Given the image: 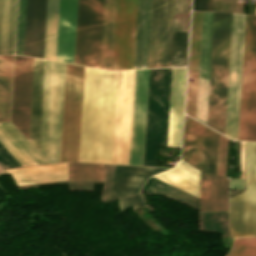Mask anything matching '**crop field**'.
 <instances>
[{"label": "crop field", "mask_w": 256, "mask_h": 256, "mask_svg": "<svg viewBox=\"0 0 256 256\" xmlns=\"http://www.w3.org/2000/svg\"><path fill=\"white\" fill-rule=\"evenodd\" d=\"M164 168L116 165L109 200L137 193L148 176Z\"/></svg>", "instance_id": "5142ce71"}, {"label": "crop field", "mask_w": 256, "mask_h": 256, "mask_svg": "<svg viewBox=\"0 0 256 256\" xmlns=\"http://www.w3.org/2000/svg\"><path fill=\"white\" fill-rule=\"evenodd\" d=\"M203 133V125L184 117L182 159L199 170L202 164Z\"/></svg>", "instance_id": "a9b5d70f"}, {"label": "crop field", "mask_w": 256, "mask_h": 256, "mask_svg": "<svg viewBox=\"0 0 256 256\" xmlns=\"http://www.w3.org/2000/svg\"><path fill=\"white\" fill-rule=\"evenodd\" d=\"M240 154H241V178L244 179V142H240Z\"/></svg>", "instance_id": "03da06ac"}, {"label": "crop field", "mask_w": 256, "mask_h": 256, "mask_svg": "<svg viewBox=\"0 0 256 256\" xmlns=\"http://www.w3.org/2000/svg\"><path fill=\"white\" fill-rule=\"evenodd\" d=\"M65 64L46 61L40 153L59 162Z\"/></svg>", "instance_id": "34b2d1b8"}, {"label": "crop field", "mask_w": 256, "mask_h": 256, "mask_svg": "<svg viewBox=\"0 0 256 256\" xmlns=\"http://www.w3.org/2000/svg\"><path fill=\"white\" fill-rule=\"evenodd\" d=\"M234 238L256 236V143L246 142V191L230 198Z\"/></svg>", "instance_id": "dd49c442"}, {"label": "crop field", "mask_w": 256, "mask_h": 256, "mask_svg": "<svg viewBox=\"0 0 256 256\" xmlns=\"http://www.w3.org/2000/svg\"><path fill=\"white\" fill-rule=\"evenodd\" d=\"M190 0H175L173 31H188ZM188 32H173L171 66H186Z\"/></svg>", "instance_id": "bc2a9ffb"}, {"label": "crop field", "mask_w": 256, "mask_h": 256, "mask_svg": "<svg viewBox=\"0 0 256 256\" xmlns=\"http://www.w3.org/2000/svg\"><path fill=\"white\" fill-rule=\"evenodd\" d=\"M132 71H117L111 163L128 164L132 93Z\"/></svg>", "instance_id": "e52e79f7"}, {"label": "crop field", "mask_w": 256, "mask_h": 256, "mask_svg": "<svg viewBox=\"0 0 256 256\" xmlns=\"http://www.w3.org/2000/svg\"><path fill=\"white\" fill-rule=\"evenodd\" d=\"M173 0H152L148 68L170 66Z\"/></svg>", "instance_id": "5a996713"}, {"label": "crop field", "mask_w": 256, "mask_h": 256, "mask_svg": "<svg viewBox=\"0 0 256 256\" xmlns=\"http://www.w3.org/2000/svg\"><path fill=\"white\" fill-rule=\"evenodd\" d=\"M84 67L66 64L60 162H77Z\"/></svg>", "instance_id": "412701ff"}, {"label": "crop field", "mask_w": 256, "mask_h": 256, "mask_svg": "<svg viewBox=\"0 0 256 256\" xmlns=\"http://www.w3.org/2000/svg\"><path fill=\"white\" fill-rule=\"evenodd\" d=\"M25 15H26V0H19L18 1L15 54H20V55H23Z\"/></svg>", "instance_id": "028f5c9d"}, {"label": "crop field", "mask_w": 256, "mask_h": 256, "mask_svg": "<svg viewBox=\"0 0 256 256\" xmlns=\"http://www.w3.org/2000/svg\"><path fill=\"white\" fill-rule=\"evenodd\" d=\"M149 70H135L129 164L143 165Z\"/></svg>", "instance_id": "d1516ede"}, {"label": "crop field", "mask_w": 256, "mask_h": 256, "mask_svg": "<svg viewBox=\"0 0 256 256\" xmlns=\"http://www.w3.org/2000/svg\"><path fill=\"white\" fill-rule=\"evenodd\" d=\"M4 172L1 168H0V173Z\"/></svg>", "instance_id": "b54c1fbb"}, {"label": "crop field", "mask_w": 256, "mask_h": 256, "mask_svg": "<svg viewBox=\"0 0 256 256\" xmlns=\"http://www.w3.org/2000/svg\"><path fill=\"white\" fill-rule=\"evenodd\" d=\"M103 0H78L74 63L99 65Z\"/></svg>", "instance_id": "f4fd0767"}, {"label": "crop field", "mask_w": 256, "mask_h": 256, "mask_svg": "<svg viewBox=\"0 0 256 256\" xmlns=\"http://www.w3.org/2000/svg\"><path fill=\"white\" fill-rule=\"evenodd\" d=\"M246 140L256 141V16L253 24L249 104Z\"/></svg>", "instance_id": "d3111659"}, {"label": "crop field", "mask_w": 256, "mask_h": 256, "mask_svg": "<svg viewBox=\"0 0 256 256\" xmlns=\"http://www.w3.org/2000/svg\"><path fill=\"white\" fill-rule=\"evenodd\" d=\"M17 0H0V54H13Z\"/></svg>", "instance_id": "ae1a2a85"}, {"label": "crop field", "mask_w": 256, "mask_h": 256, "mask_svg": "<svg viewBox=\"0 0 256 256\" xmlns=\"http://www.w3.org/2000/svg\"><path fill=\"white\" fill-rule=\"evenodd\" d=\"M151 0H138L134 68H147Z\"/></svg>", "instance_id": "00972430"}, {"label": "crop field", "mask_w": 256, "mask_h": 256, "mask_svg": "<svg viewBox=\"0 0 256 256\" xmlns=\"http://www.w3.org/2000/svg\"><path fill=\"white\" fill-rule=\"evenodd\" d=\"M253 16L246 15L238 140H245Z\"/></svg>", "instance_id": "730fd06b"}, {"label": "crop field", "mask_w": 256, "mask_h": 256, "mask_svg": "<svg viewBox=\"0 0 256 256\" xmlns=\"http://www.w3.org/2000/svg\"><path fill=\"white\" fill-rule=\"evenodd\" d=\"M230 189H244V180L230 179Z\"/></svg>", "instance_id": "c21b1889"}, {"label": "crop field", "mask_w": 256, "mask_h": 256, "mask_svg": "<svg viewBox=\"0 0 256 256\" xmlns=\"http://www.w3.org/2000/svg\"><path fill=\"white\" fill-rule=\"evenodd\" d=\"M9 135L28 153V155L37 163L43 164L48 163L25 139L24 137L15 129V127L9 123L0 124Z\"/></svg>", "instance_id": "5866460e"}, {"label": "crop field", "mask_w": 256, "mask_h": 256, "mask_svg": "<svg viewBox=\"0 0 256 256\" xmlns=\"http://www.w3.org/2000/svg\"><path fill=\"white\" fill-rule=\"evenodd\" d=\"M208 0H193L192 10L207 11Z\"/></svg>", "instance_id": "c035e120"}, {"label": "crop field", "mask_w": 256, "mask_h": 256, "mask_svg": "<svg viewBox=\"0 0 256 256\" xmlns=\"http://www.w3.org/2000/svg\"><path fill=\"white\" fill-rule=\"evenodd\" d=\"M16 185L67 180V163L9 169Z\"/></svg>", "instance_id": "dafd665d"}, {"label": "crop field", "mask_w": 256, "mask_h": 256, "mask_svg": "<svg viewBox=\"0 0 256 256\" xmlns=\"http://www.w3.org/2000/svg\"><path fill=\"white\" fill-rule=\"evenodd\" d=\"M115 78L85 67L78 162L110 163Z\"/></svg>", "instance_id": "8a807250"}, {"label": "crop field", "mask_w": 256, "mask_h": 256, "mask_svg": "<svg viewBox=\"0 0 256 256\" xmlns=\"http://www.w3.org/2000/svg\"><path fill=\"white\" fill-rule=\"evenodd\" d=\"M218 133L205 127L202 171L216 175Z\"/></svg>", "instance_id": "1d83c4d3"}, {"label": "crop field", "mask_w": 256, "mask_h": 256, "mask_svg": "<svg viewBox=\"0 0 256 256\" xmlns=\"http://www.w3.org/2000/svg\"><path fill=\"white\" fill-rule=\"evenodd\" d=\"M77 0H59L56 60L73 63Z\"/></svg>", "instance_id": "22f410ed"}, {"label": "crop field", "mask_w": 256, "mask_h": 256, "mask_svg": "<svg viewBox=\"0 0 256 256\" xmlns=\"http://www.w3.org/2000/svg\"><path fill=\"white\" fill-rule=\"evenodd\" d=\"M202 12H192L186 113L195 118Z\"/></svg>", "instance_id": "4a817a6b"}, {"label": "crop field", "mask_w": 256, "mask_h": 256, "mask_svg": "<svg viewBox=\"0 0 256 256\" xmlns=\"http://www.w3.org/2000/svg\"><path fill=\"white\" fill-rule=\"evenodd\" d=\"M33 59L15 56L11 122L28 139Z\"/></svg>", "instance_id": "28ad6ade"}, {"label": "crop field", "mask_w": 256, "mask_h": 256, "mask_svg": "<svg viewBox=\"0 0 256 256\" xmlns=\"http://www.w3.org/2000/svg\"><path fill=\"white\" fill-rule=\"evenodd\" d=\"M0 143L21 166L36 164L27 153L0 126Z\"/></svg>", "instance_id": "d32e631a"}, {"label": "crop field", "mask_w": 256, "mask_h": 256, "mask_svg": "<svg viewBox=\"0 0 256 256\" xmlns=\"http://www.w3.org/2000/svg\"><path fill=\"white\" fill-rule=\"evenodd\" d=\"M13 56H0V122L9 121Z\"/></svg>", "instance_id": "750c4746"}, {"label": "crop field", "mask_w": 256, "mask_h": 256, "mask_svg": "<svg viewBox=\"0 0 256 256\" xmlns=\"http://www.w3.org/2000/svg\"><path fill=\"white\" fill-rule=\"evenodd\" d=\"M232 14L214 12L206 126L224 134Z\"/></svg>", "instance_id": "ac0d7876"}, {"label": "crop field", "mask_w": 256, "mask_h": 256, "mask_svg": "<svg viewBox=\"0 0 256 256\" xmlns=\"http://www.w3.org/2000/svg\"><path fill=\"white\" fill-rule=\"evenodd\" d=\"M45 61L34 59L29 141L39 151Z\"/></svg>", "instance_id": "92a150f3"}, {"label": "crop field", "mask_w": 256, "mask_h": 256, "mask_svg": "<svg viewBox=\"0 0 256 256\" xmlns=\"http://www.w3.org/2000/svg\"><path fill=\"white\" fill-rule=\"evenodd\" d=\"M58 0H47L44 58L55 60Z\"/></svg>", "instance_id": "bd1437ed"}, {"label": "crop field", "mask_w": 256, "mask_h": 256, "mask_svg": "<svg viewBox=\"0 0 256 256\" xmlns=\"http://www.w3.org/2000/svg\"><path fill=\"white\" fill-rule=\"evenodd\" d=\"M227 256H256V237L234 239V245Z\"/></svg>", "instance_id": "e1f06a70"}, {"label": "crop field", "mask_w": 256, "mask_h": 256, "mask_svg": "<svg viewBox=\"0 0 256 256\" xmlns=\"http://www.w3.org/2000/svg\"><path fill=\"white\" fill-rule=\"evenodd\" d=\"M120 212L129 208L143 206L139 194L118 200Z\"/></svg>", "instance_id": "b80d0937"}, {"label": "crop field", "mask_w": 256, "mask_h": 256, "mask_svg": "<svg viewBox=\"0 0 256 256\" xmlns=\"http://www.w3.org/2000/svg\"><path fill=\"white\" fill-rule=\"evenodd\" d=\"M154 177L199 198L200 171L182 160L174 168Z\"/></svg>", "instance_id": "4177f3b9"}, {"label": "crop field", "mask_w": 256, "mask_h": 256, "mask_svg": "<svg viewBox=\"0 0 256 256\" xmlns=\"http://www.w3.org/2000/svg\"><path fill=\"white\" fill-rule=\"evenodd\" d=\"M213 12H203L196 120L205 124Z\"/></svg>", "instance_id": "733c2abd"}, {"label": "crop field", "mask_w": 256, "mask_h": 256, "mask_svg": "<svg viewBox=\"0 0 256 256\" xmlns=\"http://www.w3.org/2000/svg\"><path fill=\"white\" fill-rule=\"evenodd\" d=\"M137 0H117L113 70L133 68Z\"/></svg>", "instance_id": "3316defc"}, {"label": "crop field", "mask_w": 256, "mask_h": 256, "mask_svg": "<svg viewBox=\"0 0 256 256\" xmlns=\"http://www.w3.org/2000/svg\"><path fill=\"white\" fill-rule=\"evenodd\" d=\"M185 68H172L167 146L180 148Z\"/></svg>", "instance_id": "d9b57169"}, {"label": "crop field", "mask_w": 256, "mask_h": 256, "mask_svg": "<svg viewBox=\"0 0 256 256\" xmlns=\"http://www.w3.org/2000/svg\"><path fill=\"white\" fill-rule=\"evenodd\" d=\"M245 15L233 14L225 136L237 140Z\"/></svg>", "instance_id": "d8731c3e"}, {"label": "crop field", "mask_w": 256, "mask_h": 256, "mask_svg": "<svg viewBox=\"0 0 256 256\" xmlns=\"http://www.w3.org/2000/svg\"><path fill=\"white\" fill-rule=\"evenodd\" d=\"M116 0H104L100 68L111 69L113 62Z\"/></svg>", "instance_id": "eef30255"}, {"label": "crop field", "mask_w": 256, "mask_h": 256, "mask_svg": "<svg viewBox=\"0 0 256 256\" xmlns=\"http://www.w3.org/2000/svg\"><path fill=\"white\" fill-rule=\"evenodd\" d=\"M228 139L219 135L217 175L225 177Z\"/></svg>", "instance_id": "0bd39190"}, {"label": "crop field", "mask_w": 256, "mask_h": 256, "mask_svg": "<svg viewBox=\"0 0 256 256\" xmlns=\"http://www.w3.org/2000/svg\"><path fill=\"white\" fill-rule=\"evenodd\" d=\"M46 0H27L24 55L43 58Z\"/></svg>", "instance_id": "cbeb9de0"}, {"label": "crop field", "mask_w": 256, "mask_h": 256, "mask_svg": "<svg viewBox=\"0 0 256 256\" xmlns=\"http://www.w3.org/2000/svg\"><path fill=\"white\" fill-rule=\"evenodd\" d=\"M199 211H228V179L202 174Z\"/></svg>", "instance_id": "214f88e0"}, {"label": "crop field", "mask_w": 256, "mask_h": 256, "mask_svg": "<svg viewBox=\"0 0 256 256\" xmlns=\"http://www.w3.org/2000/svg\"><path fill=\"white\" fill-rule=\"evenodd\" d=\"M70 181L103 180L102 165L69 163Z\"/></svg>", "instance_id": "120bbe31"}]
</instances>
